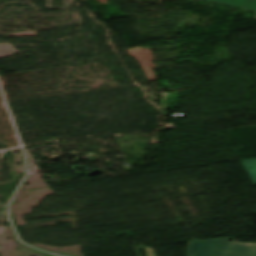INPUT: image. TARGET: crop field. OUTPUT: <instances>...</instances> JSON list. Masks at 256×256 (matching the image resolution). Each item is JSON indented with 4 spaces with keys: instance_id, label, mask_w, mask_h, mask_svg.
Listing matches in <instances>:
<instances>
[{
    "instance_id": "1",
    "label": "crop field",
    "mask_w": 256,
    "mask_h": 256,
    "mask_svg": "<svg viewBox=\"0 0 256 256\" xmlns=\"http://www.w3.org/2000/svg\"><path fill=\"white\" fill-rule=\"evenodd\" d=\"M233 238L189 242L187 256H253L256 244L239 243Z\"/></svg>"
},
{
    "instance_id": "2",
    "label": "crop field",
    "mask_w": 256,
    "mask_h": 256,
    "mask_svg": "<svg viewBox=\"0 0 256 256\" xmlns=\"http://www.w3.org/2000/svg\"><path fill=\"white\" fill-rule=\"evenodd\" d=\"M202 1L236 5V6H241L243 9L256 11V0H202Z\"/></svg>"
},
{
    "instance_id": "3",
    "label": "crop field",
    "mask_w": 256,
    "mask_h": 256,
    "mask_svg": "<svg viewBox=\"0 0 256 256\" xmlns=\"http://www.w3.org/2000/svg\"><path fill=\"white\" fill-rule=\"evenodd\" d=\"M242 163L248 172L253 184H256V159L244 160Z\"/></svg>"
}]
</instances>
